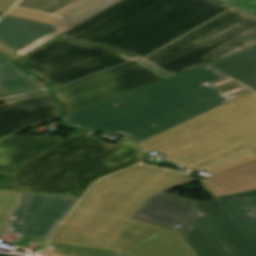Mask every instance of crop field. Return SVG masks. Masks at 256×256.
I'll return each mask as SVG.
<instances>
[{
  "label": "crop field",
  "instance_id": "8a807250",
  "mask_svg": "<svg viewBox=\"0 0 256 256\" xmlns=\"http://www.w3.org/2000/svg\"><path fill=\"white\" fill-rule=\"evenodd\" d=\"M251 90L205 65L63 117L68 125L138 144Z\"/></svg>",
  "mask_w": 256,
  "mask_h": 256
},
{
  "label": "crop field",
  "instance_id": "ac0d7876",
  "mask_svg": "<svg viewBox=\"0 0 256 256\" xmlns=\"http://www.w3.org/2000/svg\"><path fill=\"white\" fill-rule=\"evenodd\" d=\"M229 7L216 0H122L60 37L139 59Z\"/></svg>",
  "mask_w": 256,
  "mask_h": 256
},
{
  "label": "crop field",
  "instance_id": "34b2d1b8",
  "mask_svg": "<svg viewBox=\"0 0 256 256\" xmlns=\"http://www.w3.org/2000/svg\"><path fill=\"white\" fill-rule=\"evenodd\" d=\"M140 159L127 140L112 145L80 131L14 172L0 173V190L81 198L95 179Z\"/></svg>",
  "mask_w": 256,
  "mask_h": 256
},
{
  "label": "crop field",
  "instance_id": "412701ff",
  "mask_svg": "<svg viewBox=\"0 0 256 256\" xmlns=\"http://www.w3.org/2000/svg\"><path fill=\"white\" fill-rule=\"evenodd\" d=\"M197 170L256 145V92L251 91L138 144Z\"/></svg>",
  "mask_w": 256,
  "mask_h": 256
},
{
  "label": "crop field",
  "instance_id": "f4fd0767",
  "mask_svg": "<svg viewBox=\"0 0 256 256\" xmlns=\"http://www.w3.org/2000/svg\"><path fill=\"white\" fill-rule=\"evenodd\" d=\"M193 181L187 175L136 166L98 181L63 223L116 237L150 196Z\"/></svg>",
  "mask_w": 256,
  "mask_h": 256
},
{
  "label": "crop field",
  "instance_id": "dd49c442",
  "mask_svg": "<svg viewBox=\"0 0 256 256\" xmlns=\"http://www.w3.org/2000/svg\"><path fill=\"white\" fill-rule=\"evenodd\" d=\"M178 230L199 256H256V191L196 203Z\"/></svg>",
  "mask_w": 256,
  "mask_h": 256
},
{
  "label": "crop field",
  "instance_id": "e52e79f7",
  "mask_svg": "<svg viewBox=\"0 0 256 256\" xmlns=\"http://www.w3.org/2000/svg\"><path fill=\"white\" fill-rule=\"evenodd\" d=\"M256 46V17L230 9L141 60L171 77Z\"/></svg>",
  "mask_w": 256,
  "mask_h": 256
},
{
  "label": "crop field",
  "instance_id": "d8731c3e",
  "mask_svg": "<svg viewBox=\"0 0 256 256\" xmlns=\"http://www.w3.org/2000/svg\"><path fill=\"white\" fill-rule=\"evenodd\" d=\"M119 0H17L0 21V52L17 59Z\"/></svg>",
  "mask_w": 256,
  "mask_h": 256
},
{
  "label": "crop field",
  "instance_id": "5a996713",
  "mask_svg": "<svg viewBox=\"0 0 256 256\" xmlns=\"http://www.w3.org/2000/svg\"><path fill=\"white\" fill-rule=\"evenodd\" d=\"M134 59L104 46L57 38L13 63L47 80L52 88Z\"/></svg>",
  "mask_w": 256,
  "mask_h": 256
},
{
  "label": "crop field",
  "instance_id": "3316defc",
  "mask_svg": "<svg viewBox=\"0 0 256 256\" xmlns=\"http://www.w3.org/2000/svg\"><path fill=\"white\" fill-rule=\"evenodd\" d=\"M79 199L0 191L3 232L48 240Z\"/></svg>",
  "mask_w": 256,
  "mask_h": 256
},
{
  "label": "crop field",
  "instance_id": "28ad6ade",
  "mask_svg": "<svg viewBox=\"0 0 256 256\" xmlns=\"http://www.w3.org/2000/svg\"><path fill=\"white\" fill-rule=\"evenodd\" d=\"M166 77L141 61L112 68L76 83L53 90L64 107V115Z\"/></svg>",
  "mask_w": 256,
  "mask_h": 256
},
{
  "label": "crop field",
  "instance_id": "d1516ede",
  "mask_svg": "<svg viewBox=\"0 0 256 256\" xmlns=\"http://www.w3.org/2000/svg\"><path fill=\"white\" fill-rule=\"evenodd\" d=\"M117 237L131 242L111 256H196L176 231L133 219Z\"/></svg>",
  "mask_w": 256,
  "mask_h": 256
},
{
  "label": "crop field",
  "instance_id": "22f410ed",
  "mask_svg": "<svg viewBox=\"0 0 256 256\" xmlns=\"http://www.w3.org/2000/svg\"><path fill=\"white\" fill-rule=\"evenodd\" d=\"M130 242L62 224L43 256H110Z\"/></svg>",
  "mask_w": 256,
  "mask_h": 256
},
{
  "label": "crop field",
  "instance_id": "cbeb9de0",
  "mask_svg": "<svg viewBox=\"0 0 256 256\" xmlns=\"http://www.w3.org/2000/svg\"><path fill=\"white\" fill-rule=\"evenodd\" d=\"M61 104L51 93L0 110V138L60 117Z\"/></svg>",
  "mask_w": 256,
  "mask_h": 256
},
{
  "label": "crop field",
  "instance_id": "5142ce71",
  "mask_svg": "<svg viewBox=\"0 0 256 256\" xmlns=\"http://www.w3.org/2000/svg\"><path fill=\"white\" fill-rule=\"evenodd\" d=\"M195 203L196 201L163 192L150 197L133 219L175 230L176 224L184 225L197 212L193 207Z\"/></svg>",
  "mask_w": 256,
  "mask_h": 256
},
{
  "label": "crop field",
  "instance_id": "d9b57169",
  "mask_svg": "<svg viewBox=\"0 0 256 256\" xmlns=\"http://www.w3.org/2000/svg\"><path fill=\"white\" fill-rule=\"evenodd\" d=\"M64 138L13 135L0 140V172H11L24 161Z\"/></svg>",
  "mask_w": 256,
  "mask_h": 256
},
{
  "label": "crop field",
  "instance_id": "733c2abd",
  "mask_svg": "<svg viewBox=\"0 0 256 256\" xmlns=\"http://www.w3.org/2000/svg\"><path fill=\"white\" fill-rule=\"evenodd\" d=\"M200 182L213 197L254 190L256 189V161L200 180Z\"/></svg>",
  "mask_w": 256,
  "mask_h": 256
},
{
  "label": "crop field",
  "instance_id": "4a817a6b",
  "mask_svg": "<svg viewBox=\"0 0 256 256\" xmlns=\"http://www.w3.org/2000/svg\"><path fill=\"white\" fill-rule=\"evenodd\" d=\"M256 90V47L209 64Z\"/></svg>",
  "mask_w": 256,
  "mask_h": 256
},
{
  "label": "crop field",
  "instance_id": "bc2a9ffb",
  "mask_svg": "<svg viewBox=\"0 0 256 256\" xmlns=\"http://www.w3.org/2000/svg\"><path fill=\"white\" fill-rule=\"evenodd\" d=\"M0 68L7 74L0 75V88L6 92H17L29 89L39 88L28 77H26L20 70L10 63V60L0 55Z\"/></svg>",
  "mask_w": 256,
  "mask_h": 256
},
{
  "label": "crop field",
  "instance_id": "214f88e0",
  "mask_svg": "<svg viewBox=\"0 0 256 256\" xmlns=\"http://www.w3.org/2000/svg\"><path fill=\"white\" fill-rule=\"evenodd\" d=\"M256 160L253 156L247 154L246 152L238 155L236 157L230 158L228 160H225L223 162H220L218 164L212 165L210 167L205 168V170H207L209 173H211L212 175L222 172L224 170L230 169L232 167L250 162Z\"/></svg>",
  "mask_w": 256,
  "mask_h": 256
},
{
  "label": "crop field",
  "instance_id": "92a150f3",
  "mask_svg": "<svg viewBox=\"0 0 256 256\" xmlns=\"http://www.w3.org/2000/svg\"><path fill=\"white\" fill-rule=\"evenodd\" d=\"M32 81H34L40 89L36 90H30V91H23V92H17V93H11V94H6V95H0V101L4 100H10V99H16V98H21V97H27L31 95H35L41 92H45L49 90L46 82L32 76V75H27Z\"/></svg>",
  "mask_w": 256,
  "mask_h": 256
},
{
  "label": "crop field",
  "instance_id": "dafd665d",
  "mask_svg": "<svg viewBox=\"0 0 256 256\" xmlns=\"http://www.w3.org/2000/svg\"><path fill=\"white\" fill-rule=\"evenodd\" d=\"M235 7L254 14V13H256V0L249 1V2L243 3L241 5L235 6ZM254 15H256V14H254Z\"/></svg>",
  "mask_w": 256,
  "mask_h": 256
},
{
  "label": "crop field",
  "instance_id": "00972430",
  "mask_svg": "<svg viewBox=\"0 0 256 256\" xmlns=\"http://www.w3.org/2000/svg\"><path fill=\"white\" fill-rule=\"evenodd\" d=\"M16 0H0V12H6Z\"/></svg>",
  "mask_w": 256,
  "mask_h": 256
},
{
  "label": "crop field",
  "instance_id": "a9b5d70f",
  "mask_svg": "<svg viewBox=\"0 0 256 256\" xmlns=\"http://www.w3.org/2000/svg\"><path fill=\"white\" fill-rule=\"evenodd\" d=\"M218 1L229 4L231 6H235V5H238L240 3H243V2H246V1H249V0H218Z\"/></svg>",
  "mask_w": 256,
  "mask_h": 256
},
{
  "label": "crop field",
  "instance_id": "4177f3b9",
  "mask_svg": "<svg viewBox=\"0 0 256 256\" xmlns=\"http://www.w3.org/2000/svg\"><path fill=\"white\" fill-rule=\"evenodd\" d=\"M249 154L253 155L256 158V151Z\"/></svg>",
  "mask_w": 256,
  "mask_h": 256
},
{
  "label": "crop field",
  "instance_id": "730fd06b",
  "mask_svg": "<svg viewBox=\"0 0 256 256\" xmlns=\"http://www.w3.org/2000/svg\"><path fill=\"white\" fill-rule=\"evenodd\" d=\"M255 150H256V148H255V149H253V150L247 151V153L252 152V151H255Z\"/></svg>",
  "mask_w": 256,
  "mask_h": 256
},
{
  "label": "crop field",
  "instance_id": "eef30255",
  "mask_svg": "<svg viewBox=\"0 0 256 256\" xmlns=\"http://www.w3.org/2000/svg\"><path fill=\"white\" fill-rule=\"evenodd\" d=\"M3 13H0V17L2 16Z\"/></svg>",
  "mask_w": 256,
  "mask_h": 256
}]
</instances>
